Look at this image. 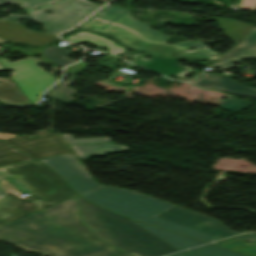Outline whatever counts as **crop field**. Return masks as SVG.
Instances as JSON below:
<instances>
[{"mask_svg": "<svg viewBox=\"0 0 256 256\" xmlns=\"http://www.w3.org/2000/svg\"><path fill=\"white\" fill-rule=\"evenodd\" d=\"M59 173L81 197L129 218L210 242L237 234L209 217L129 190L91 180L72 153L39 159Z\"/></svg>", "mask_w": 256, "mask_h": 256, "instance_id": "8a807250", "label": "crop field"}, {"mask_svg": "<svg viewBox=\"0 0 256 256\" xmlns=\"http://www.w3.org/2000/svg\"><path fill=\"white\" fill-rule=\"evenodd\" d=\"M75 199L0 227V240L44 256H128L80 222Z\"/></svg>", "mask_w": 256, "mask_h": 256, "instance_id": "ac0d7876", "label": "crop field"}, {"mask_svg": "<svg viewBox=\"0 0 256 256\" xmlns=\"http://www.w3.org/2000/svg\"><path fill=\"white\" fill-rule=\"evenodd\" d=\"M99 21L102 22L101 25L97 24ZM80 25L83 29L108 35L118 40L121 45L139 52L202 61H211L218 57L194 45L195 42H181L175 45L164 43L167 36L148 29L147 25L131 18L127 10L121 7L105 6ZM112 30L115 32H111ZM190 46L197 48L187 51Z\"/></svg>", "mask_w": 256, "mask_h": 256, "instance_id": "34b2d1b8", "label": "crop field"}, {"mask_svg": "<svg viewBox=\"0 0 256 256\" xmlns=\"http://www.w3.org/2000/svg\"><path fill=\"white\" fill-rule=\"evenodd\" d=\"M54 1L56 5H52ZM9 3H16L29 15H12L8 19L14 22L19 18L38 21L54 34L72 28L89 13L99 8L86 0H0V5ZM35 8L39 11H34ZM45 11L56 12L57 15L46 14ZM71 13H77L78 16ZM0 36L11 42H23L36 46H46L56 40L54 36L31 31L8 20L0 22Z\"/></svg>", "mask_w": 256, "mask_h": 256, "instance_id": "412701ff", "label": "crop field"}, {"mask_svg": "<svg viewBox=\"0 0 256 256\" xmlns=\"http://www.w3.org/2000/svg\"><path fill=\"white\" fill-rule=\"evenodd\" d=\"M83 222L101 240L132 256H160L175 250L134 222L79 197Z\"/></svg>", "mask_w": 256, "mask_h": 256, "instance_id": "f4fd0767", "label": "crop field"}, {"mask_svg": "<svg viewBox=\"0 0 256 256\" xmlns=\"http://www.w3.org/2000/svg\"><path fill=\"white\" fill-rule=\"evenodd\" d=\"M20 187L31 193V200L41 201L49 206L76 196L63 180L35 160L0 167V195Z\"/></svg>", "mask_w": 256, "mask_h": 256, "instance_id": "dd49c442", "label": "crop field"}, {"mask_svg": "<svg viewBox=\"0 0 256 256\" xmlns=\"http://www.w3.org/2000/svg\"><path fill=\"white\" fill-rule=\"evenodd\" d=\"M40 63L33 59L11 63L4 58H0V64L6 70L12 71L9 75L32 103L36 102V97L57 80L50 74L59 72L55 70L47 74L37 66Z\"/></svg>", "mask_w": 256, "mask_h": 256, "instance_id": "e52e79f7", "label": "crop field"}, {"mask_svg": "<svg viewBox=\"0 0 256 256\" xmlns=\"http://www.w3.org/2000/svg\"><path fill=\"white\" fill-rule=\"evenodd\" d=\"M37 133L40 137L36 139H30L28 136L23 135L6 139L5 141L35 159L69 152L57 135H50L45 130Z\"/></svg>", "mask_w": 256, "mask_h": 256, "instance_id": "d8731c3e", "label": "crop field"}, {"mask_svg": "<svg viewBox=\"0 0 256 256\" xmlns=\"http://www.w3.org/2000/svg\"><path fill=\"white\" fill-rule=\"evenodd\" d=\"M130 58L133 59L132 61H130L132 63H135L137 65H142L147 69L161 73L165 76H168V75L179 76L177 79H180V80H191L198 73H200L199 71H194L189 67L178 64L175 61V59H164V58L146 59V57L138 53L133 54L132 56H130ZM182 68L186 70L185 71L180 70ZM189 71L191 73H196V74L191 79L183 78L185 75L188 74Z\"/></svg>", "mask_w": 256, "mask_h": 256, "instance_id": "5a996713", "label": "crop field"}, {"mask_svg": "<svg viewBox=\"0 0 256 256\" xmlns=\"http://www.w3.org/2000/svg\"><path fill=\"white\" fill-rule=\"evenodd\" d=\"M202 75L203 77L200 75L191 83L203 88L226 91L230 94L256 97V89L237 85L229 77L209 73H203Z\"/></svg>", "mask_w": 256, "mask_h": 256, "instance_id": "3316defc", "label": "crop field"}, {"mask_svg": "<svg viewBox=\"0 0 256 256\" xmlns=\"http://www.w3.org/2000/svg\"><path fill=\"white\" fill-rule=\"evenodd\" d=\"M69 147L82 160L89 159L93 156L104 157L107 153L123 152L128 150V148L125 146H119L111 143L97 144V145L79 144V145H69Z\"/></svg>", "mask_w": 256, "mask_h": 256, "instance_id": "28ad6ade", "label": "crop field"}, {"mask_svg": "<svg viewBox=\"0 0 256 256\" xmlns=\"http://www.w3.org/2000/svg\"><path fill=\"white\" fill-rule=\"evenodd\" d=\"M0 103L6 105L31 104L16 83L12 79L4 77H0Z\"/></svg>", "mask_w": 256, "mask_h": 256, "instance_id": "d1516ede", "label": "crop field"}, {"mask_svg": "<svg viewBox=\"0 0 256 256\" xmlns=\"http://www.w3.org/2000/svg\"><path fill=\"white\" fill-rule=\"evenodd\" d=\"M135 223H137L144 229L148 230L149 232L153 233L154 235L158 236L159 238L163 239L164 241H166L168 244H170L171 246H173L175 249L179 251L187 248H191L194 246H198L201 244H205V243H202L190 238H186V237H183L165 230H161L155 227H151L145 224H141L138 222H135Z\"/></svg>", "mask_w": 256, "mask_h": 256, "instance_id": "22f410ed", "label": "crop field"}, {"mask_svg": "<svg viewBox=\"0 0 256 256\" xmlns=\"http://www.w3.org/2000/svg\"><path fill=\"white\" fill-rule=\"evenodd\" d=\"M213 20L218 23L222 32L233 40L237 45L252 29L253 26L241 23L235 20L214 17Z\"/></svg>", "mask_w": 256, "mask_h": 256, "instance_id": "cbeb9de0", "label": "crop field"}, {"mask_svg": "<svg viewBox=\"0 0 256 256\" xmlns=\"http://www.w3.org/2000/svg\"><path fill=\"white\" fill-rule=\"evenodd\" d=\"M242 240H248L250 243H243ZM212 244L235 250L250 256H256V237L254 236H238Z\"/></svg>", "mask_w": 256, "mask_h": 256, "instance_id": "5142ce71", "label": "crop field"}, {"mask_svg": "<svg viewBox=\"0 0 256 256\" xmlns=\"http://www.w3.org/2000/svg\"><path fill=\"white\" fill-rule=\"evenodd\" d=\"M75 35H78L79 37H75ZM67 40L73 41V42L87 41V42H91L97 46L103 45V46L107 47V49L109 50L108 53H111L114 55H118V54L126 51L125 48L116 45L113 41H111L109 39H106L104 37L98 36L93 33L85 32V31L78 32V33L74 34L73 36L67 38Z\"/></svg>", "mask_w": 256, "mask_h": 256, "instance_id": "d9b57169", "label": "crop field"}, {"mask_svg": "<svg viewBox=\"0 0 256 256\" xmlns=\"http://www.w3.org/2000/svg\"><path fill=\"white\" fill-rule=\"evenodd\" d=\"M18 203L19 200L8 195L0 196V226L21 218V215L24 213L16 208Z\"/></svg>", "mask_w": 256, "mask_h": 256, "instance_id": "733c2abd", "label": "crop field"}, {"mask_svg": "<svg viewBox=\"0 0 256 256\" xmlns=\"http://www.w3.org/2000/svg\"><path fill=\"white\" fill-rule=\"evenodd\" d=\"M256 58V45H252L246 48L239 49L234 53L230 54L226 58L222 59L220 62L213 63L212 66L216 68L228 69L232 64L245 59H255Z\"/></svg>", "mask_w": 256, "mask_h": 256, "instance_id": "4a817a6b", "label": "crop field"}, {"mask_svg": "<svg viewBox=\"0 0 256 256\" xmlns=\"http://www.w3.org/2000/svg\"><path fill=\"white\" fill-rule=\"evenodd\" d=\"M71 53L64 48L58 46H50L43 50L42 62L50 61L56 63L59 67L71 64L78 60L67 59L66 57Z\"/></svg>", "mask_w": 256, "mask_h": 256, "instance_id": "bc2a9ffb", "label": "crop field"}, {"mask_svg": "<svg viewBox=\"0 0 256 256\" xmlns=\"http://www.w3.org/2000/svg\"><path fill=\"white\" fill-rule=\"evenodd\" d=\"M171 256H243L211 245L201 246Z\"/></svg>", "mask_w": 256, "mask_h": 256, "instance_id": "214f88e0", "label": "crop field"}, {"mask_svg": "<svg viewBox=\"0 0 256 256\" xmlns=\"http://www.w3.org/2000/svg\"><path fill=\"white\" fill-rule=\"evenodd\" d=\"M32 160V158L16 151L14 148L0 141V166Z\"/></svg>", "mask_w": 256, "mask_h": 256, "instance_id": "92a150f3", "label": "crop field"}, {"mask_svg": "<svg viewBox=\"0 0 256 256\" xmlns=\"http://www.w3.org/2000/svg\"><path fill=\"white\" fill-rule=\"evenodd\" d=\"M73 80H75V79L70 78L67 82L61 80L55 86H53L50 90H48L44 94V96L55 98L57 100L64 101V102H67V101L73 99V96L69 95V93H74L76 91L74 89H70V88L66 87Z\"/></svg>", "mask_w": 256, "mask_h": 256, "instance_id": "dafd665d", "label": "crop field"}, {"mask_svg": "<svg viewBox=\"0 0 256 256\" xmlns=\"http://www.w3.org/2000/svg\"><path fill=\"white\" fill-rule=\"evenodd\" d=\"M23 193H26V194L30 195V193L24 191L22 188L8 194L12 197H15V198L21 200L18 207H17L19 210L27 213V212L39 209L41 207L47 206L43 203H42V205H40V202H37V201H31L30 196L25 197V198L19 196Z\"/></svg>", "mask_w": 256, "mask_h": 256, "instance_id": "00972430", "label": "crop field"}, {"mask_svg": "<svg viewBox=\"0 0 256 256\" xmlns=\"http://www.w3.org/2000/svg\"><path fill=\"white\" fill-rule=\"evenodd\" d=\"M251 103L245 102L237 98H230L221 103L220 107L225 109H230L234 111H241L249 107Z\"/></svg>", "mask_w": 256, "mask_h": 256, "instance_id": "a9b5d70f", "label": "crop field"}, {"mask_svg": "<svg viewBox=\"0 0 256 256\" xmlns=\"http://www.w3.org/2000/svg\"><path fill=\"white\" fill-rule=\"evenodd\" d=\"M67 144H78V143H105L109 142L108 137L100 138H83V139H74L73 136L68 134L60 135ZM70 141V142H67Z\"/></svg>", "mask_w": 256, "mask_h": 256, "instance_id": "4177f3b9", "label": "crop field"}, {"mask_svg": "<svg viewBox=\"0 0 256 256\" xmlns=\"http://www.w3.org/2000/svg\"><path fill=\"white\" fill-rule=\"evenodd\" d=\"M252 44H256V28L254 27L249 34L235 47L234 50L222 55L221 57H219L217 60H221L222 58H224L225 56L229 55L230 53H232L233 51L245 47V46H249ZM215 60V61H217Z\"/></svg>", "mask_w": 256, "mask_h": 256, "instance_id": "730fd06b", "label": "crop field"}, {"mask_svg": "<svg viewBox=\"0 0 256 256\" xmlns=\"http://www.w3.org/2000/svg\"><path fill=\"white\" fill-rule=\"evenodd\" d=\"M87 67V64L81 62L78 64L71 65L67 68H65V71L68 72L71 75H75L78 72L84 71V69Z\"/></svg>", "mask_w": 256, "mask_h": 256, "instance_id": "eef30255", "label": "crop field"}, {"mask_svg": "<svg viewBox=\"0 0 256 256\" xmlns=\"http://www.w3.org/2000/svg\"><path fill=\"white\" fill-rule=\"evenodd\" d=\"M239 9L256 11V0H241Z\"/></svg>", "mask_w": 256, "mask_h": 256, "instance_id": "ae1a2a85", "label": "crop field"}, {"mask_svg": "<svg viewBox=\"0 0 256 256\" xmlns=\"http://www.w3.org/2000/svg\"><path fill=\"white\" fill-rule=\"evenodd\" d=\"M120 58L113 57V56H106L103 60L98 61L99 64H103L102 66H105L107 68H113V66L119 62ZM101 61H104V63H101ZM109 63H112L111 65Z\"/></svg>", "mask_w": 256, "mask_h": 256, "instance_id": "d3111659", "label": "crop field"}, {"mask_svg": "<svg viewBox=\"0 0 256 256\" xmlns=\"http://www.w3.org/2000/svg\"><path fill=\"white\" fill-rule=\"evenodd\" d=\"M45 49V48H39V49H29V54H26V52L21 49V48H14L13 50L14 51H19V52H22L24 55H36V54H39L41 56V53H42V50ZM36 52L35 54H33L32 52Z\"/></svg>", "mask_w": 256, "mask_h": 256, "instance_id": "750c4746", "label": "crop field"}, {"mask_svg": "<svg viewBox=\"0 0 256 256\" xmlns=\"http://www.w3.org/2000/svg\"><path fill=\"white\" fill-rule=\"evenodd\" d=\"M12 136H16V135L0 133V138H2V139L9 138V137H12Z\"/></svg>", "mask_w": 256, "mask_h": 256, "instance_id": "bd1437ed", "label": "crop field"}, {"mask_svg": "<svg viewBox=\"0 0 256 256\" xmlns=\"http://www.w3.org/2000/svg\"><path fill=\"white\" fill-rule=\"evenodd\" d=\"M185 2H196L195 0H184Z\"/></svg>", "mask_w": 256, "mask_h": 256, "instance_id": "1d83c4d3", "label": "crop field"}, {"mask_svg": "<svg viewBox=\"0 0 256 256\" xmlns=\"http://www.w3.org/2000/svg\"><path fill=\"white\" fill-rule=\"evenodd\" d=\"M198 46H200V47H202V45L201 44H197ZM208 51H210V52H212L211 50H209V49H207ZM214 53V52H213ZM216 54V53H215Z\"/></svg>", "mask_w": 256, "mask_h": 256, "instance_id": "120bbe31", "label": "crop field"}, {"mask_svg": "<svg viewBox=\"0 0 256 256\" xmlns=\"http://www.w3.org/2000/svg\"><path fill=\"white\" fill-rule=\"evenodd\" d=\"M4 42H7V41L0 39V43H4Z\"/></svg>", "mask_w": 256, "mask_h": 256, "instance_id": "d32e631a", "label": "crop field"}, {"mask_svg": "<svg viewBox=\"0 0 256 256\" xmlns=\"http://www.w3.org/2000/svg\"><path fill=\"white\" fill-rule=\"evenodd\" d=\"M0 71H4V69L0 66Z\"/></svg>", "mask_w": 256, "mask_h": 256, "instance_id": "5866460e", "label": "crop field"}]
</instances>
